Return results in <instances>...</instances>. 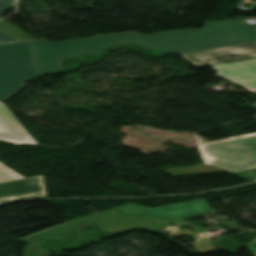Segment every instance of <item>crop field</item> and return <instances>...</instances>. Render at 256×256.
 I'll return each instance as SVG.
<instances>
[{"label": "crop field", "instance_id": "d8731c3e", "mask_svg": "<svg viewBox=\"0 0 256 256\" xmlns=\"http://www.w3.org/2000/svg\"><path fill=\"white\" fill-rule=\"evenodd\" d=\"M169 224L170 223L166 221L148 217H121L103 221L101 223L95 224V226L103 233L133 228L158 232Z\"/></svg>", "mask_w": 256, "mask_h": 256}, {"label": "crop field", "instance_id": "34b2d1b8", "mask_svg": "<svg viewBox=\"0 0 256 256\" xmlns=\"http://www.w3.org/2000/svg\"><path fill=\"white\" fill-rule=\"evenodd\" d=\"M202 151L214 156L209 165L166 169L174 175L227 171L251 181L256 180V135L205 144Z\"/></svg>", "mask_w": 256, "mask_h": 256}, {"label": "crop field", "instance_id": "dd49c442", "mask_svg": "<svg viewBox=\"0 0 256 256\" xmlns=\"http://www.w3.org/2000/svg\"><path fill=\"white\" fill-rule=\"evenodd\" d=\"M28 198H46L42 176L0 184V205Z\"/></svg>", "mask_w": 256, "mask_h": 256}, {"label": "crop field", "instance_id": "28ad6ade", "mask_svg": "<svg viewBox=\"0 0 256 256\" xmlns=\"http://www.w3.org/2000/svg\"><path fill=\"white\" fill-rule=\"evenodd\" d=\"M18 179H24V177L0 163V183Z\"/></svg>", "mask_w": 256, "mask_h": 256}, {"label": "crop field", "instance_id": "f4fd0767", "mask_svg": "<svg viewBox=\"0 0 256 256\" xmlns=\"http://www.w3.org/2000/svg\"><path fill=\"white\" fill-rule=\"evenodd\" d=\"M181 56L197 67L252 59L256 58V41L181 54Z\"/></svg>", "mask_w": 256, "mask_h": 256}, {"label": "crop field", "instance_id": "412701ff", "mask_svg": "<svg viewBox=\"0 0 256 256\" xmlns=\"http://www.w3.org/2000/svg\"><path fill=\"white\" fill-rule=\"evenodd\" d=\"M39 77L31 46L21 42L0 46V100H8L23 83Z\"/></svg>", "mask_w": 256, "mask_h": 256}, {"label": "crop field", "instance_id": "3316defc", "mask_svg": "<svg viewBox=\"0 0 256 256\" xmlns=\"http://www.w3.org/2000/svg\"><path fill=\"white\" fill-rule=\"evenodd\" d=\"M15 26L5 20L0 21V30L1 31L8 33L10 35H13L17 38L23 39V40L33 39Z\"/></svg>", "mask_w": 256, "mask_h": 256}, {"label": "crop field", "instance_id": "d9b57169", "mask_svg": "<svg viewBox=\"0 0 256 256\" xmlns=\"http://www.w3.org/2000/svg\"><path fill=\"white\" fill-rule=\"evenodd\" d=\"M0 140L7 141V142H11V143H15V144H21V143H17V142L9 141V140L1 139V138H0Z\"/></svg>", "mask_w": 256, "mask_h": 256}, {"label": "crop field", "instance_id": "d1516ede", "mask_svg": "<svg viewBox=\"0 0 256 256\" xmlns=\"http://www.w3.org/2000/svg\"><path fill=\"white\" fill-rule=\"evenodd\" d=\"M14 7V0H0V19L1 15Z\"/></svg>", "mask_w": 256, "mask_h": 256}, {"label": "crop field", "instance_id": "5142ce71", "mask_svg": "<svg viewBox=\"0 0 256 256\" xmlns=\"http://www.w3.org/2000/svg\"><path fill=\"white\" fill-rule=\"evenodd\" d=\"M236 138V137H235ZM231 139V138H230ZM201 146L202 145H199V147H200V149H201ZM202 153V155H203V157H204V159H205V161H206V164H209L211 161H212V159H213V157H211V156H209V155H207V154H205V153H203V152H201Z\"/></svg>", "mask_w": 256, "mask_h": 256}, {"label": "crop field", "instance_id": "733c2abd", "mask_svg": "<svg viewBox=\"0 0 256 256\" xmlns=\"http://www.w3.org/2000/svg\"><path fill=\"white\" fill-rule=\"evenodd\" d=\"M28 140V139H27ZM27 140L23 141V143H28Z\"/></svg>", "mask_w": 256, "mask_h": 256}, {"label": "crop field", "instance_id": "8a807250", "mask_svg": "<svg viewBox=\"0 0 256 256\" xmlns=\"http://www.w3.org/2000/svg\"><path fill=\"white\" fill-rule=\"evenodd\" d=\"M206 29L136 35L134 31L49 42L33 45L40 77L63 73L61 58L100 52L110 45L134 42L169 54L256 40V25L238 22L205 23Z\"/></svg>", "mask_w": 256, "mask_h": 256}, {"label": "crop field", "instance_id": "5a996713", "mask_svg": "<svg viewBox=\"0 0 256 256\" xmlns=\"http://www.w3.org/2000/svg\"><path fill=\"white\" fill-rule=\"evenodd\" d=\"M0 130L1 138L21 142L30 137L28 142L37 144L3 102H0Z\"/></svg>", "mask_w": 256, "mask_h": 256}, {"label": "crop field", "instance_id": "e52e79f7", "mask_svg": "<svg viewBox=\"0 0 256 256\" xmlns=\"http://www.w3.org/2000/svg\"><path fill=\"white\" fill-rule=\"evenodd\" d=\"M217 75L256 90V59L211 66Z\"/></svg>", "mask_w": 256, "mask_h": 256}, {"label": "crop field", "instance_id": "cbeb9de0", "mask_svg": "<svg viewBox=\"0 0 256 256\" xmlns=\"http://www.w3.org/2000/svg\"><path fill=\"white\" fill-rule=\"evenodd\" d=\"M255 245L256 239L245 245L254 256H256V247H254Z\"/></svg>", "mask_w": 256, "mask_h": 256}, {"label": "crop field", "instance_id": "ac0d7876", "mask_svg": "<svg viewBox=\"0 0 256 256\" xmlns=\"http://www.w3.org/2000/svg\"><path fill=\"white\" fill-rule=\"evenodd\" d=\"M213 214H215V212L204 199L156 207L153 209L130 203L111 210L80 218L50 229H46L19 239L28 243L23 251L24 256H50L51 252L44 251L42 247L46 241L63 239L109 217L124 215L151 216L163 218L173 223Z\"/></svg>", "mask_w": 256, "mask_h": 256}, {"label": "crop field", "instance_id": "22f410ed", "mask_svg": "<svg viewBox=\"0 0 256 256\" xmlns=\"http://www.w3.org/2000/svg\"><path fill=\"white\" fill-rule=\"evenodd\" d=\"M21 41L13 36L0 32V44Z\"/></svg>", "mask_w": 256, "mask_h": 256}]
</instances>
